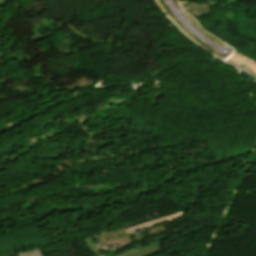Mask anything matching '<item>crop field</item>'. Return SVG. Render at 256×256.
<instances>
[{"instance_id":"crop-field-1","label":"crop field","mask_w":256,"mask_h":256,"mask_svg":"<svg viewBox=\"0 0 256 256\" xmlns=\"http://www.w3.org/2000/svg\"><path fill=\"white\" fill-rule=\"evenodd\" d=\"M166 230H167V228L165 226L160 225V226H157L155 228L148 229L147 232L149 234L139 236V237H136V238H133V239H130L129 237H126V238H121V239L112 240V241H105L104 238L102 237V235L94 236V239H95V242H96L98 248H103V247H107L108 245H112V244H126L127 245L131 241L140 240V239L146 238L148 236L164 232Z\"/></svg>"},{"instance_id":"crop-field-2","label":"crop field","mask_w":256,"mask_h":256,"mask_svg":"<svg viewBox=\"0 0 256 256\" xmlns=\"http://www.w3.org/2000/svg\"><path fill=\"white\" fill-rule=\"evenodd\" d=\"M161 243L162 242L159 241L157 243L149 244L145 247H141L138 249H130L117 256H150L161 252V249L159 247Z\"/></svg>"},{"instance_id":"crop-field-5","label":"crop field","mask_w":256,"mask_h":256,"mask_svg":"<svg viewBox=\"0 0 256 256\" xmlns=\"http://www.w3.org/2000/svg\"><path fill=\"white\" fill-rule=\"evenodd\" d=\"M84 239H85L89 249L91 250V252L95 253L97 256H100V254L98 253L97 248L94 244V241H93L92 237L89 236V237H85Z\"/></svg>"},{"instance_id":"crop-field-3","label":"crop field","mask_w":256,"mask_h":256,"mask_svg":"<svg viewBox=\"0 0 256 256\" xmlns=\"http://www.w3.org/2000/svg\"><path fill=\"white\" fill-rule=\"evenodd\" d=\"M185 212H186V210H184V211H182L180 213L168 216V217H164V218H161V219H158V220H154V221L145 223L143 225H140V226H137V227H134V228H131V229H127V232H128V234H130V233H132L134 231H137V230H140V229L152 226V225L160 224V223L169 221V220L174 219V218L183 217Z\"/></svg>"},{"instance_id":"crop-field-4","label":"crop field","mask_w":256,"mask_h":256,"mask_svg":"<svg viewBox=\"0 0 256 256\" xmlns=\"http://www.w3.org/2000/svg\"><path fill=\"white\" fill-rule=\"evenodd\" d=\"M126 236L128 235L124 229L103 234V237L105 238V240H112V239H117V238L126 237Z\"/></svg>"}]
</instances>
